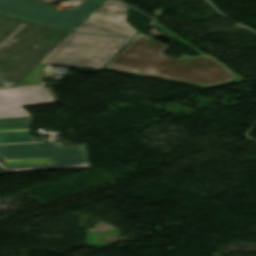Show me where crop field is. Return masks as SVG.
Masks as SVG:
<instances>
[{
  "mask_svg": "<svg viewBox=\"0 0 256 256\" xmlns=\"http://www.w3.org/2000/svg\"><path fill=\"white\" fill-rule=\"evenodd\" d=\"M170 46L139 33L104 68L209 87L242 80L209 55L178 60L162 54Z\"/></svg>",
  "mask_w": 256,
  "mask_h": 256,
  "instance_id": "crop-field-1",
  "label": "crop field"
},
{
  "mask_svg": "<svg viewBox=\"0 0 256 256\" xmlns=\"http://www.w3.org/2000/svg\"><path fill=\"white\" fill-rule=\"evenodd\" d=\"M71 33L0 14V76L13 87Z\"/></svg>",
  "mask_w": 256,
  "mask_h": 256,
  "instance_id": "crop-field-2",
  "label": "crop field"
},
{
  "mask_svg": "<svg viewBox=\"0 0 256 256\" xmlns=\"http://www.w3.org/2000/svg\"><path fill=\"white\" fill-rule=\"evenodd\" d=\"M8 172L90 168L85 145L57 143L0 145Z\"/></svg>",
  "mask_w": 256,
  "mask_h": 256,
  "instance_id": "crop-field-3",
  "label": "crop field"
},
{
  "mask_svg": "<svg viewBox=\"0 0 256 256\" xmlns=\"http://www.w3.org/2000/svg\"><path fill=\"white\" fill-rule=\"evenodd\" d=\"M128 41L72 33L40 63L99 69Z\"/></svg>",
  "mask_w": 256,
  "mask_h": 256,
  "instance_id": "crop-field-4",
  "label": "crop field"
},
{
  "mask_svg": "<svg viewBox=\"0 0 256 256\" xmlns=\"http://www.w3.org/2000/svg\"><path fill=\"white\" fill-rule=\"evenodd\" d=\"M81 1L82 3L77 9L53 11L49 7L31 0H0V12L73 31L105 0Z\"/></svg>",
  "mask_w": 256,
  "mask_h": 256,
  "instance_id": "crop-field-5",
  "label": "crop field"
},
{
  "mask_svg": "<svg viewBox=\"0 0 256 256\" xmlns=\"http://www.w3.org/2000/svg\"><path fill=\"white\" fill-rule=\"evenodd\" d=\"M129 7L106 0L74 31L132 38L138 32L126 21Z\"/></svg>",
  "mask_w": 256,
  "mask_h": 256,
  "instance_id": "crop-field-6",
  "label": "crop field"
},
{
  "mask_svg": "<svg viewBox=\"0 0 256 256\" xmlns=\"http://www.w3.org/2000/svg\"><path fill=\"white\" fill-rule=\"evenodd\" d=\"M54 102L43 85L0 90V118L31 116L21 107Z\"/></svg>",
  "mask_w": 256,
  "mask_h": 256,
  "instance_id": "crop-field-7",
  "label": "crop field"
},
{
  "mask_svg": "<svg viewBox=\"0 0 256 256\" xmlns=\"http://www.w3.org/2000/svg\"><path fill=\"white\" fill-rule=\"evenodd\" d=\"M32 117L0 119V143H18L36 141L30 136Z\"/></svg>",
  "mask_w": 256,
  "mask_h": 256,
  "instance_id": "crop-field-8",
  "label": "crop field"
},
{
  "mask_svg": "<svg viewBox=\"0 0 256 256\" xmlns=\"http://www.w3.org/2000/svg\"><path fill=\"white\" fill-rule=\"evenodd\" d=\"M48 65L38 64L33 70H31L21 81H19L14 87L16 86H23V85H31V84H38L43 83L42 78L47 75L45 69Z\"/></svg>",
  "mask_w": 256,
  "mask_h": 256,
  "instance_id": "crop-field-9",
  "label": "crop field"
},
{
  "mask_svg": "<svg viewBox=\"0 0 256 256\" xmlns=\"http://www.w3.org/2000/svg\"><path fill=\"white\" fill-rule=\"evenodd\" d=\"M10 87L1 77H0V89Z\"/></svg>",
  "mask_w": 256,
  "mask_h": 256,
  "instance_id": "crop-field-10",
  "label": "crop field"
},
{
  "mask_svg": "<svg viewBox=\"0 0 256 256\" xmlns=\"http://www.w3.org/2000/svg\"><path fill=\"white\" fill-rule=\"evenodd\" d=\"M38 1H41V2H44V3H47V4H52V3H56L60 0H38Z\"/></svg>",
  "mask_w": 256,
  "mask_h": 256,
  "instance_id": "crop-field-11",
  "label": "crop field"
},
{
  "mask_svg": "<svg viewBox=\"0 0 256 256\" xmlns=\"http://www.w3.org/2000/svg\"><path fill=\"white\" fill-rule=\"evenodd\" d=\"M1 168V167H0Z\"/></svg>",
  "mask_w": 256,
  "mask_h": 256,
  "instance_id": "crop-field-12",
  "label": "crop field"
}]
</instances>
